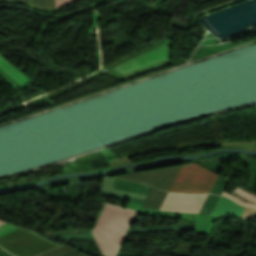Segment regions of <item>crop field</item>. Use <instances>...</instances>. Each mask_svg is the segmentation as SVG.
I'll list each match as a JSON object with an SVG mask.
<instances>
[{
	"label": "crop field",
	"mask_w": 256,
	"mask_h": 256,
	"mask_svg": "<svg viewBox=\"0 0 256 256\" xmlns=\"http://www.w3.org/2000/svg\"><path fill=\"white\" fill-rule=\"evenodd\" d=\"M136 211L107 204L92 232L103 254L115 256Z\"/></svg>",
	"instance_id": "obj_1"
},
{
	"label": "crop field",
	"mask_w": 256,
	"mask_h": 256,
	"mask_svg": "<svg viewBox=\"0 0 256 256\" xmlns=\"http://www.w3.org/2000/svg\"><path fill=\"white\" fill-rule=\"evenodd\" d=\"M0 246L16 256H35L61 247L23 228L0 237Z\"/></svg>",
	"instance_id": "obj_2"
},
{
	"label": "crop field",
	"mask_w": 256,
	"mask_h": 256,
	"mask_svg": "<svg viewBox=\"0 0 256 256\" xmlns=\"http://www.w3.org/2000/svg\"><path fill=\"white\" fill-rule=\"evenodd\" d=\"M217 176V174L195 163L182 165L170 191L209 193Z\"/></svg>",
	"instance_id": "obj_3"
},
{
	"label": "crop field",
	"mask_w": 256,
	"mask_h": 256,
	"mask_svg": "<svg viewBox=\"0 0 256 256\" xmlns=\"http://www.w3.org/2000/svg\"><path fill=\"white\" fill-rule=\"evenodd\" d=\"M180 167L181 165L164 168V169L152 170V171L113 176V177L150 184L160 190L168 191Z\"/></svg>",
	"instance_id": "obj_4"
},
{
	"label": "crop field",
	"mask_w": 256,
	"mask_h": 256,
	"mask_svg": "<svg viewBox=\"0 0 256 256\" xmlns=\"http://www.w3.org/2000/svg\"><path fill=\"white\" fill-rule=\"evenodd\" d=\"M207 195L168 193L160 210L199 213Z\"/></svg>",
	"instance_id": "obj_5"
},
{
	"label": "crop field",
	"mask_w": 256,
	"mask_h": 256,
	"mask_svg": "<svg viewBox=\"0 0 256 256\" xmlns=\"http://www.w3.org/2000/svg\"><path fill=\"white\" fill-rule=\"evenodd\" d=\"M165 57V46L157 49L155 51H152L150 53L144 54L142 56H139L137 58H134L132 60H129L121 65H118L112 69L122 73L125 71H128L130 69L142 66L144 64L156 61L158 59L164 58Z\"/></svg>",
	"instance_id": "obj_6"
},
{
	"label": "crop field",
	"mask_w": 256,
	"mask_h": 256,
	"mask_svg": "<svg viewBox=\"0 0 256 256\" xmlns=\"http://www.w3.org/2000/svg\"><path fill=\"white\" fill-rule=\"evenodd\" d=\"M243 207L237 206L229 199L220 196L211 215H221L240 218Z\"/></svg>",
	"instance_id": "obj_7"
},
{
	"label": "crop field",
	"mask_w": 256,
	"mask_h": 256,
	"mask_svg": "<svg viewBox=\"0 0 256 256\" xmlns=\"http://www.w3.org/2000/svg\"><path fill=\"white\" fill-rule=\"evenodd\" d=\"M223 196H226L232 200H234L238 205L254 207L256 208V195L236 186L231 195L222 192ZM248 201L247 203L245 201Z\"/></svg>",
	"instance_id": "obj_8"
},
{
	"label": "crop field",
	"mask_w": 256,
	"mask_h": 256,
	"mask_svg": "<svg viewBox=\"0 0 256 256\" xmlns=\"http://www.w3.org/2000/svg\"><path fill=\"white\" fill-rule=\"evenodd\" d=\"M165 195L166 192L151 187L141 208L158 210Z\"/></svg>",
	"instance_id": "obj_9"
},
{
	"label": "crop field",
	"mask_w": 256,
	"mask_h": 256,
	"mask_svg": "<svg viewBox=\"0 0 256 256\" xmlns=\"http://www.w3.org/2000/svg\"><path fill=\"white\" fill-rule=\"evenodd\" d=\"M112 188L146 195L150 186L116 179Z\"/></svg>",
	"instance_id": "obj_10"
},
{
	"label": "crop field",
	"mask_w": 256,
	"mask_h": 256,
	"mask_svg": "<svg viewBox=\"0 0 256 256\" xmlns=\"http://www.w3.org/2000/svg\"><path fill=\"white\" fill-rule=\"evenodd\" d=\"M0 68H2L6 73H8L12 78H14L21 85L28 81L21 73H19L15 68H13L9 63H7L2 57H0ZM2 69L0 71L5 74L9 79H11L15 84L20 86L14 79H12L8 74H6Z\"/></svg>",
	"instance_id": "obj_11"
},
{
	"label": "crop field",
	"mask_w": 256,
	"mask_h": 256,
	"mask_svg": "<svg viewBox=\"0 0 256 256\" xmlns=\"http://www.w3.org/2000/svg\"><path fill=\"white\" fill-rule=\"evenodd\" d=\"M70 0H55L56 7L68 2ZM54 0H29V5L37 6L41 8H53L55 7Z\"/></svg>",
	"instance_id": "obj_12"
},
{
	"label": "crop field",
	"mask_w": 256,
	"mask_h": 256,
	"mask_svg": "<svg viewBox=\"0 0 256 256\" xmlns=\"http://www.w3.org/2000/svg\"><path fill=\"white\" fill-rule=\"evenodd\" d=\"M218 198H219V196H217V195L209 194L206 202L204 203V205L200 211V214L210 215Z\"/></svg>",
	"instance_id": "obj_13"
},
{
	"label": "crop field",
	"mask_w": 256,
	"mask_h": 256,
	"mask_svg": "<svg viewBox=\"0 0 256 256\" xmlns=\"http://www.w3.org/2000/svg\"><path fill=\"white\" fill-rule=\"evenodd\" d=\"M227 181L218 177L211 193L220 195Z\"/></svg>",
	"instance_id": "obj_14"
},
{
	"label": "crop field",
	"mask_w": 256,
	"mask_h": 256,
	"mask_svg": "<svg viewBox=\"0 0 256 256\" xmlns=\"http://www.w3.org/2000/svg\"><path fill=\"white\" fill-rule=\"evenodd\" d=\"M0 256H11L8 253H6L3 249L0 250Z\"/></svg>",
	"instance_id": "obj_15"
},
{
	"label": "crop field",
	"mask_w": 256,
	"mask_h": 256,
	"mask_svg": "<svg viewBox=\"0 0 256 256\" xmlns=\"http://www.w3.org/2000/svg\"><path fill=\"white\" fill-rule=\"evenodd\" d=\"M4 223H6V222L0 221V225H2V224H4Z\"/></svg>",
	"instance_id": "obj_16"
},
{
	"label": "crop field",
	"mask_w": 256,
	"mask_h": 256,
	"mask_svg": "<svg viewBox=\"0 0 256 256\" xmlns=\"http://www.w3.org/2000/svg\"><path fill=\"white\" fill-rule=\"evenodd\" d=\"M19 1H26V2H28V0H19Z\"/></svg>",
	"instance_id": "obj_17"
},
{
	"label": "crop field",
	"mask_w": 256,
	"mask_h": 256,
	"mask_svg": "<svg viewBox=\"0 0 256 256\" xmlns=\"http://www.w3.org/2000/svg\"><path fill=\"white\" fill-rule=\"evenodd\" d=\"M78 256H84V255L80 254V255H78Z\"/></svg>",
	"instance_id": "obj_18"
},
{
	"label": "crop field",
	"mask_w": 256,
	"mask_h": 256,
	"mask_svg": "<svg viewBox=\"0 0 256 256\" xmlns=\"http://www.w3.org/2000/svg\"><path fill=\"white\" fill-rule=\"evenodd\" d=\"M1 249V248H0Z\"/></svg>",
	"instance_id": "obj_19"
}]
</instances>
